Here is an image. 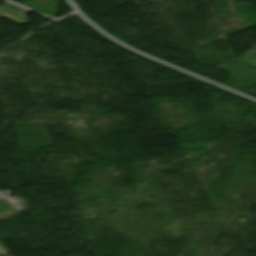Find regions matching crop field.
<instances>
[{"mask_svg": "<svg viewBox=\"0 0 256 256\" xmlns=\"http://www.w3.org/2000/svg\"><path fill=\"white\" fill-rule=\"evenodd\" d=\"M1 9V8H0ZM29 10L16 6L12 3L7 5L0 11V16H4L14 22L24 24L25 21L29 20L28 18L24 17L23 15L26 14Z\"/></svg>", "mask_w": 256, "mask_h": 256, "instance_id": "crop-field-1", "label": "crop field"}, {"mask_svg": "<svg viewBox=\"0 0 256 256\" xmlns=\"http://www.w3.org/2000/svg\"><path fill=\"white\" fill-rule=\"evenodd\" d=\"M241 60H243L245 62H248L250 64H253L252 62L256 60V50H254L253 52L249 53L248 55L243 57ZM254 65H256V63H254Z\"/></svg>", "mask_w": 256, "mask_h": 256, "instance_id": "crop-field-2", "label": "crop field"}, {"mask_svg": "<svg viewBox=\"0 0 256 256\" xmlns=\"http://www.w3.org/2000/svg\"><path fill=\"white\" fill-rule=\"evenodd\" d=\"M1 253H6L5 251H4V249L0 246V254Z\"/></svg>", "mask_w": 256, "mask_h": 256, "instance_id": "crop-field-3", "label": "crop field"}, {"mask_svg": "<svg viewBox=\"0 0 256 256\" xmlns=\"http://www.w3.org/2000/svg\"><path fill=\"white\" fill-rule=\"evenodd\" d=\"M0 256H11V255H9V254H3V255H0Z\"/></svg>", "mask_w": 256, "mask_h": 256, "instance_id": "crop-field-4", "label": "crop field"}]
</instances>
